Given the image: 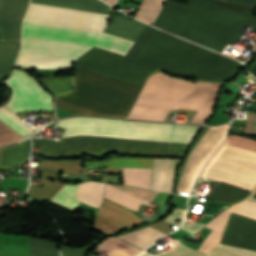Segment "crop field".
<instances>
[{
  "label": "crop field",
  "instance_id": "obj_32",
  "mask_svg": "<svg viewBox=\"0 0 256 256\" xmlns=\"http://www.w3.org/2000/svg\"><path fill=\"white\" fill-rule=\"evenodd\" d=\"M175 217H180L182 220L179 223L182 224L183 221H184V218H185V211L174 208V211L172 212V214L170 216H168L167 218H165L164 220H166V221H168V222H170V223L180 227L181 225L176 224V223L173 222V219Z\"/></svg>",
  "mask_w": 256,
  "mask_h": 256
},
{
  "label": "crop field",
  "instance_id": "obj_2",
  "mask_svg": "<svg viewBox=\"0 0 256 256\" xmlns=\"http://www.w3.org/2000/svg\"><path fill=\"white\" fill-rule=\"evenodd\" d=\"M22 37L95 46L125 56L133 41L104 33L24 22ZM93 47L76 60V66L137 85L159 71L122 59L123 56Z\"/></svg>",
  "mask_w": 256,
  "mask_h": 256
},
{
  "label": "crop field",
  "instance_id": "obj_26",
  "mask_svg": "<svg viewBox=\"0 0 256 256\" xmlns=\"http://www.w3.org/2000/svg\"><path fill=\"white\" fill-rule=\"evenodd\" d=\"M223 144H227V145H231V146H235V147H239V148H243V149H247V150L256 152V140H252V139H248V138H244V137L230 136L227 138V140L225 142H223ZM223 144L210 157V159L204 165L199 176H202V174H203L204 170L207 168L209 162L216 156V154L219 152V150L224 146Z\"/></svg>",
  "mask_w": 256,
  "mask_h": 256
},
{
  "label": "crop field",
  "instance_id": "obj_23",
  "mask_svg": "<svg viewBox=\"0 0 256 256\" xmlns=\"http://www.w3.org/2000/svg\"><path fill=\"white\" fill-rule=\"evenodd\" d=\"M17 49L18 43H0V79L10 71Z\"/></svg>",
  "mask_w": 256,
  "mask_h": 256
},
{
  "label": "crop field",
  "instance_id": "obj_20",
  "mask_svg": "<svg viewBox=\"0 0 256 256\" xmlns=\"http://www.w3.org/2000/svg\"><path fill=\"white\" fill-rule=\"evenodd\" d=\"M248 193L247 190L221 182L209 199L233 204L243 199Z\"/></svg>",
  "mask_w": 256,
  "mask_h": 256
},
{
  "label": "crop field",
  "instance_id": "obj_3",
  "mask_svg": "<svg viewBox=\"0 0 256 256\" xmlns=\"http://www.w3.org/2000/svg\"><path fill=\"white\" fill-rule=\"evenodd\" d=\"M221 83L182 80L157 73L147 79L129 118L163 121L169 109L198 110L191 122L203 123Z\"/></svg>",
  "mask_w": 256,
  "mask_h": 256
},
{
  "label": "crop field",
  "instance_id": "obj_19",
  "mask_svg": "<svg viewBox=\"0 0 256 256\" xmlns=\"http://www.w3.org/2000/svg\"><path fill=\"white\" fill-rule=\"evenodd\" d=\"M29 139L3 149L0 167L15 166L29 157Z\"/></svg>",
  "mask_w": 256,
  "mask_h": 256
},
{
  "label": "crop field",
  "instance_id": "obj_18",
  "mask_svg": "<svg viewBox=\"0 0 256 256\" xmlns=\"http://www.w3.org/2000/svg\"><path fill=\"white\" fill-rule=\"evenodd\" d=\"M105 183L85 182L79 184L77 199L99 207L103 199Z\"/></svg>",
  "mask_w": 256,
  "mask_h": 256
},
{
  "label": "crop field",
  "instance_id": "obj_7",
  "mask_svg": "<svg viewBox=\"0 0 256 256\" xmlns=\"http://www.w3.org/2000/svg\"><path fill=\"white\" fill-rule=\"evenodd\" d=\"M13 89L10 101L5 105L13 112L21 110H52V96L26 73L14 69L12 76L4 81Z\"/></svg>",
  "mask_w": 256,
  "mask_h": 256
},
{
  "label": "crop field",
  "instance_id": "obj_31",
  "mask_svg": "<svg viewBox=\"0 0 256 256\" xmlns=\"http://www.w3.org/2000/svg\"><path fill=\"white\" fill-rule=\"evenodd\" d=\"M243 133L256 135V114L255 113H251V112L249 113L246 127Z\"/></svg>",
  "mask_w": 256,
  "mask_h": 256
},
{
  "label": "crop field",
  "instance_id": "obj_24",
  "mask_svg": "<svg viewBox=\"0 0 256 256\" xmlns=\"http://www.w3.org/2000/svg\"><path fill=\"white\" fill-rule=\"evenodd\" d=\"M163 2L164 0H143L135 17L153 25Z\"/></svg>",
  "mask_w": 256,
  "mask_h": 256
},
{
  "label": "crop field",
  "instance_id": "obj_35",
  "mask_svg": "<svg viewBox=\"0 0 256 256\" xmlns=\"http://www.w3.org/2000/svg\"><path fill=\"white\" fill-rule=\"evenodd\" d=\"M170 194L168 193H159L155 199L153 200L154 202L162 203L165 204V202L168 200Z\"/></svg>",
  "mask_w": 256,
  "mask_h": 256
},
{
  "label": "crop field",
  "instance_id": "obj_9",
  "mask_svg": "<svg viewBox=\"0 0 256 256\" xmlns=\"http://www.w3.org/2000/svg\"><path fill=\"white\" fill-rule=\"evenodd\" d=\"M141 223L145 222L137 215L105 199L96 214V230L104 234Z\"/></svg>",
  "mask_w": 256,
  "mask_h": 256
},
{
  "label": "crop field",
  "instance_id": "obj_21",
  "mask_svg": "<svg viewBox=\"0 0 256 256\" xmlns=\"http://www.w3.org/2000/svg\"><path fill=\"white\" fill-rule=\"evenodd\" d=\"M163 235L165 234L148 227L120 238L145 249Z\"/></svg>",
  "mask_w": 256,
  "mask_h": 256
},
{
  "label": "crop field",
  "instance_id": "obj_22",
  "mask_svg": "<svg viewBox=\"0 0 256 256\" xmlns=\"http://www.w3.org/2000/svg\"><path fill=\"white\" fill-rule=\"evenodd\" d=\"M109 248L126 256H131L139 250V248L125 243L115 237H108L99 243L98 247L94 250V253L102 256Z\"/></svg>",
  "mask_w": 256,
  "mask_h": 256
},
{
  "label": "crop field",
  "instance_id": "obj_5",
  "mask_svg": "<svg viewBox=\"0 0 256 256\" xmlns=\"http://www.w3.org/2000/svg\"><path fill=\"white\" fill-rule=\"evenodd\" d=\"M89 48L91 47L22 38L16 66L67 68Z\"/></svg>",
  "mask_w": 256,
  "mask_h": 256
},
{
  "label": "crop field",
  "instance_id": "obj_27",
  "mask_svg": "<svg viewBox=\"0 0 256 256\" xmlns=\"http://www.w3.org/2000/svg\"><path fill=\"white\" fill-rule=\"evenodd\" d=\"M30 246L32 256H57L54 243L30 237Z\"/></svg>",
  "mask_w": 256,
  "mask_h": 256
},
{
  "label": "crop field",
  "instance_id": "obj_28",
  "mask_svg": "<svg viewBox=\"0 0 256 256\" xmlns=\"http://www.w3.org/2000/svg\"><path fill=\"white\" fill-rule=\"evenodd\" d=\"M43 84L56 96L68 92L73 88V77L52 78L43 81Z\"/></svg>",
  "mask_w": 256,
  "mask_h": 256
},
{
  "label": "crop field",
  "instance_id": "obj_14",
  "mask_svg": "<svg viewBox=\"0 0 256 256\" xmlns=\"http://www.w3.org/2000/svg\"><path fill=\"white\" fill-rule=\"evenodd\" d=\"M175 160L155 159L151 189L171 192Z\"/></svg>",
  "mask_w": 256,
  "mask_h": 256
},
{
  "label": "crop field",
  "instance_id": "obj_6",
  "mask_svg": "<svg viewBox=\"0 0 256 256\" xmlns=\"http://www.w3.org/2000/svg\"><path fill=\"white\" fill-rule=\"evenodd\" d=\"M108 16L31 3L24 21L103 32Z\"/></svg>",
  "mask_w": 256,
  "mask_h": 256
},
{
  "label": "crop field",
  "instance_id": "obj_12",
  "mask_svg": "<svg viewBox=\"0 0 256 256\" xmlns=\"http://www.w3.org/2000/svg\"><path fill=\"white\" fill-rule=\"evenodd\" d=\"M156 193L140 188L107 183L105 197L137 211L141 203L148 205Z\"/></svg>",
  "mask_w": 256,
  "mask_h": 256
},
{
  "label": "crop field",
  "instance_id": "obj_33",
  "mask_svg": "<svg viewBox=\"0 0 256 256\" xmlns=\"http://www.w3.org/2000/svg\"><path fill=\"white\" fill-rule=\"evenodd\" d=\"M88 249L71 250L66 247H61L62 256H84Z\"/></svg>",
  "mask_w": 256,
  "mask_h": 256
},
{
  "label": "crop field",
  "instance_id": "obj_16",
  "mask_svg": "<svg viewBox=\"0 0 256 256\" xmlns=\"http://www.w3.org/2000/svg\"><path fill=\"white\" fill-rule=\"evenodd\" d=\"M155 256H206L204 254L193 251L181 243L166 254H159ZM208 256H256V252L242 250L238 248L220 245Z\"/></svg>",
  "mask_w": 256,
  "mask_h": 256
},
{
  "label": "crop field",
  "instance_id": "obj_13",
  "mask_svg": "<svg viewBox=\"0 0 256 256\" xmlns=\"http://www.w3.org/2000/svg\"><path fill=\"white\" fill-rule=\"evenodd\" d=\"M145 26L146 24L136 19L132 21L114 15L104 33L135 41Z\"/></svg>",
  "mask_w": 256,
  "mask_h": 256
},
{
  "label": "crop field",
  "instance_id": "obj_11",
  "mask_svg": "<svg viewBox=\"0 0 256 256\" xmlns=\"http://www.w3.org/2000/svg\"><path fill=\"white\" fill-rule=\"evenodd\" d=\"M253 222L252 219L232 213L221 243L243 248ZM244 248L256 251V221Z\"/></svg>",
  "mask_w": 256,
  "mask_h": 256
},
{
  "label": "crop field",
  "instance_id": "obj_8",
  "mask_svg": "<svg viewBox=\"0 0 256 256\" xmlns=\"http://www.w3.org/2000/svg\"><path fill=\"white\" fill-rule=\"evenodd\" d=\"M153 159L113 157L105 162H86V168L138 167L151 168ZM151 169L124 168V184L149 189Z\"/></svg>",
  "mask_w": 256,
  "mask_h": 256
},
{
  "label": "crop field",
  "instance_id": "obj_34",
  "mask_svg": "<svg viewBox=\"0 0 256 256\" xmlns=\"http://www.w3.org/2000/svg\"><path fill=\"white\" fill-rule=\"evenodd\" d=\"M204 224L200 223H191L190 225L186 224L182 229L193 234L200 231L203 228Z\"/></svg>",
  "mask_w": 256,
  "mask_h": 256
},
{
  "label": "crop field",
  "instance_id": "obj_1",
  "mask_svg": "<svg viewBox=\"0 0 256 256\" xmlns=\"http://www.w3.org/2000/svg\"><path fill=\"white\" fill-rule=\"evenodd\" d=\"M66 128L63 138L87 134L142 139L191 142L201 126L168 125L149 122L69 118L58 122ZM71 136L61 142L33 138V146L45 155L105 154L112 151L165 156H182L189 143L101 136Z\"/></svg>",
  "mask_w": 256,
  "mask_h": 256
},
{
  "label": "crop field",
  "instance_id": "obj_17",
  "mask_svg": "<svg viewBox=\"0 0 256 256\" xmlns=\"http://www.w3.org/2000/svg\"><path fill=\"white\" fill-rule=\"evenodd\" d=\"M34 3L110 14L113 8L100 0H31Z\"/></svg>",
  "mask_w": 256,
  "mask_h": 256
},
{
  "label": "crop field",
  "instance_id": "obj_29",
  "mask_svg": "<svg viewBox=\"0 0 256 256\" xmlns=\"http://www.w3.org/2000/svg\"><path fill=\"white\" fill-rule=\"evenodd\" d=\"M230 212H234L240 215L251 217L256 219V203L244 200L242 202L236 203L227 209Z\"/></svg>",
  "mask_w": 256,
  "mask_h": 256
},
{
  "label": "crop field",
  "instance_id": "obj_38",
  "mask_svg": "<svg viewBox=\"0 0 256 256\" xmlns=\"http://www.w3.org/2000/svg\"><path fill=\"white\" fill-rule=\"evenodd\" d=\"M66 209V208H65ZM73 211V210H72Z\"/></svg>",
  "mask_w": 256,
  "mask_h": 256
},
{
  "label": "crop field",
  "instance_id": "obj_25",
  "mask_svg": "<svg viewBox=\"0 0 256 256\" xmlns=\"http://www.w3.org/2000/svg\"><path fill=\"white\" fill-rule=\"evenodd\" d=\"M9 110V109H8ZM3 106L0 107V119L6 123L9 127L13 128L18 133L26 136L31 132L35 131L28 127L27 125L23 124L21 119L17 117L15 114L8 111Z\"/></svg>",
  "mask_w": 256,
  "mask_h": 256
},
{
  "label": "crop field",
  "instance_id": "obj_10",
  "mask_svg": "<svg viewBox=\"0 0 256 256\" xmlns=\"http://www.w3.org/2000/svg\"><path fill=\"white\" fill-rule=\"evenodd\" d=\"M29 0H0L2 41H20V26Z\"/></svg>",
  "mask_w": 256,
  "mask_h": 256
},
{
  "label": "crop field",
  "instance_id": "obj_36",
  "mask_svg": "<svg viewBox=\"0 0 256 256\" xmlns=\"http://www.w3.org/2000/svg\"><path fill=\"white\" fill-rule=\"evenodd\" d=\"M117 0H105V2H107L108 4H110L111 6L114 7L115 3Z\"/></svg>",
  "mask_w": 256,
  "mask_h": 256
},
{
  "label": "crop field",
  "instance_id": "obj_30",
  "mask_svg": "<svg viewBox=\"0 0 256 256\" xmlns=\"http://www.w3.org/2000/svg\"><path fill=\"white\" fill-rule=\"evenodd\" d=\"M22 139L23 138L15 131L0 121V146H4L7 145V143H13Z\"/></svg>",
  "mask_w": 256,
  "mask_h": 256
},
{
  "label": "crop field",
  "instance_id": "obj_4",
  "mask_svg": "<svg viewBox=\"0 0 256 256\" xmlns=\"http://www.w3.org/2000/svg\"><path fill=\"white\" fill-rule=\"evenodd\" d=\"M141 86L76 67L75 90L55 104L88 115L126 117Z\"/></svg>",
  "mask_w": 256,
  "mask_h": 256
},
{
  "label": "crop field",
  "instance_id": "obj_15",
  "mask_svg": "<svg viewBox=\"0 0 256 256\" xmlns=\"http://www.w3.org/2000/svg\"><path fill=\"white\" fill-rule=\"evenodd\" d=\"M230 214V212L224 210L219 216L209 221L205 227L212 230L198 248V251L208 254L219 244Z\"/></svg>",
  "mask_w": 256,
  "mask_h": 256
},
{
  "label": "crop field",
  "instance_id": "obj_37",
  "mask_svg": "<svg viewBox=\"0 0 256 256\" xmlns=\"http://www.w3.org/2000/svg\"><path fill=\"white\" fill-rule=\"evenodd\" d=\"M145 253L143 252L140 256H149V255H147L148 253L147 254H145Z\"/></svg>",
  "mask_w": 256,
  "mask_h": 256
}]
</instances>
